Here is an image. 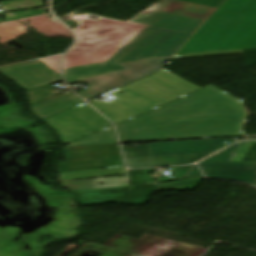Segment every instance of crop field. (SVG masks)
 I'll return each instance as SVG.
<instances>
[{
	"instance_id": "5",
	"label": "crop field",
	"mask_w": 256,
	"mask_h": 256,
	"mask_svg": "<svg viewBox=\"0 0 256 256\" xmlns=\"http://www.w3.org/2000/svg\"><path fill=\"white\" fill-rule=\"evenodd\" d=\"M139 25L98 20H84L74 33L78 40L65 57L63 67L99 61L114 51Z\"/></svg>"
},
{
	"instance_id": "23",
	"label": "crop field",
	"mask_w": 256,
	"mask_h": 256,
	"mask_svg": "<svg viewBox=\"0 0 256 256\" xmlns=\"http://www.w3.org/2000/svg\"><path fill=\"white\" fill-rule=\"evenodd\" d=\"M194 167H171L173 178L160 177L159 182L186 179Z\"/></svg>"
},
{
	"instance_id": "17",
	"label": "crop field",
	"mask_w": 256,
	"mask_h": 256,
	"mask_svg": "<svg viewBox=\"0 0 256 256\" xmlns=\"http://www.w3.org/2000/svg\"><path fill=\"white\" fill-rule=\"evenodd\" d=\"M117 143L112 126L65 147Z\"/></svg>"
},
{
	"instance_id": "20",
	"label": "crop field",
	"mask_w": 256,
	"mask_h": 256,
	"mask_svg": "<svg viewBox=\"0 0 256 256\" xmlns=\"http://www.w3.org/2000/svg\"><path fill=\"white\" fill-rule=\"evenodd\" d=\"M202 179L198 180H190V181H182V182H174V183H163L159 184L155 191L159 190H167V189H196Z\"/></svg>"
},
{
	"instance_id": "29",
	"label": "crop field",
	"mask_w": 256,
	"mask_h": 256,
	"mask_svg": "<svg viewBox=\"0 0 256 256\" xmlns=\"http://www.w3.org/2000/svg\"><path fill=\"white\" fill-rule=\"evenodd\" d=\"M0 23H2L1 20H0Z\"/></svg>"
},
{
	"instance_id": "12",
	"label": "crop field",
	"mask_w": 256,
	"mask_h": 256,
	"mask_svg": "<svg viewBox=\"0 0 256 256\" xmlns=\"http://www.w3.org/2000/svg\"><path fill=\"white\" fill-rule=\"evenodd\" d=\"M0 73L26 91L62 81L59 73L51 70L43 61L0 68Z\"/></svg>"
},
{
	"instance_id": "14",
	"label": "crop field",
	"mask_w": 256,
	"mask_h": 256,
	"mask_svg": "<svg viewBox=\"0 0 256 256\" xmlns=\"http://www.w3.org/2000/svg\"><path fill=\"white\" fill-rule=\"evenodd\" d=\"M82 103L84 102L75 95L71 93H64L63 95L39 102L31 105L30 107L32 113L39 119L43 120Z\"/></svg>"
},
{
	"instance_id": "1",
	"label": "crop field",
	"mask_w": 256,
	"mask_h": 256,
	"mask_svg": "<svg viewBox=\"0 0 256 256\" xmlns=\"http://www.w3.org/2000/svg\"><path fill=\"white\" fill-rule=\"evenodd\" d=\"M248 113L234 97L207 86L117 124L122 143L241 137Z\"/></svg>"
},
{
	"instance_id": "16",
	"label": "crop field",
	"mask_w": 256,
	"mask_h": 256,
	"mask_svg": "<svg viewBox=\"0 0 256 256\" xmlns=\"http://www.w3.org/2000/svg\"><path fill=\"white\" fill-rule=\"evenodd\" d=\"M126 174L123 167L112 168L106 170H90V171H81L73 173H64L59 174L60 181L71 180V179H86V178H97V177H106L113 175Z\"/></svg>"
},
{
	"instance_id": "25",
	"label": "crop field",
	"mask_w": 256,
	"mask_h": 256,
	"mask_svg": "<svg viewBox=\"0 0 256 256\" xmlns=\"http://www.w3.org/2000/svg\"><path fill=\"white\" fill-rule=\"evenodd\" d=\"M176 1H181V2H185V3H190V4H195V5H199V6L216 9L218 4L222 0H176Z\"/></svg>"
},
{
	"instance_id": "9",
	"label": "crop field",
	"mask_w": 256,
	"mask_h": 256,
	"mask_svg": "<svg viewBox=\"0 0 256 256\" xmlns=\"http://www.w3.org/2000/svg\"><path fill=\"white\" fill-rule=\"evenodd\" d=\"M167 59L168 58H161L124 64L123 66L126 70L116 72V74L113 76L106 77L107 75H105L102 77L83 81L88 83L90 88L84 92L78 93V95L86 101L95 98L129 82H132L142 76L156 72Z\"/></svg>"
},
{
	"instance_id": "18",
	"label": "crop field",
	"mask_w": 256,
	"mask_h": 256,
	"mask_svg": "<svg viewBox=\"0 0 256 256\" xmlns=\"http://www.w3.org/2000/svg\"><path fill=\"white\" fill-rule=\"evenodd\" d=\"M129 168L179 165L175 155L126 160Z\"/></svg>"
},
{
	"instance_id": "2",
	"label": "crop field",
	"mask_w": 256,
	"mask_h": 256,
	"mask_svg": "<svg viewBox=\"0 0 256 256\" xmlns=\"http://www.w3.org/2000/svg\"><path fill=\"white\" fill-rule=\"evenodd\" d=\"M251 48H256V0H226L174 54Z\"/></svg>"
},
{
	"instance_id": "21",
	"label": "crop field",
	"mask_w": 256,
	"mask_h": 256,
	"mask_svg": "<svg viewBox=\"0 0 256 256\" xmlns=\"http://www.w3.org/2000/svg\"><path fill=\"white\" fill-rule=\"evenodd\" d=\"M123 146L126 159L150 157L148 145H141L137 148H125Z\"/></svg>"
},
{
	"instance_id": "24",
	"label": "crop field",
	"mask_w": 256,
	"mask_h": 256,
	"mask_svg": "<svg viewBox=\"0 0 256 256\" xmlns=\"http://www.w3.org/2000/svg\"><path fill=\"white\" fill-rule=\"evenodd\" d=\"M42 14H45V9L36 10V11H27V12L5 14L4 19H5L6 22H8V21H13V20L33 17V16H37V15H42Z\"/></svg>"
},
{
	"instance_id": "10",
	"label": "crop field",
	"mask_w": 256,
	"mask_h": 256,
	"mask_svg": "<svg viewBox=\"0 0 256 256\" xmlns=\"http://www.w3.org/2000/svg\"><path fill=\"white\" fill-rule=\"evenodd\" d=\"M228 141V144H224ZM235 142L228 139H206L149 143L152 156L176 154L179 164L197 162Z\"/></svg>"
},
{
	"instance_id": "11",
	"label": "crop field",
	"mask_w": 256,
	"mask_h": 256,
	"mask_svg": "<svg viewBox=\"0 0 256 256\" xmlns=\"http://www.w3.org/2000/svg\"><path fill=\"white\" fill-rule=\"evenodd\" d=\"M157 185L108 188L73 192L82 205L122 203L145 204Z\"/></svg>"
},
{
	"instance_id": "7",
	"label": "crop field",
	"mask_w": 256,
	"mask_h": 256,
	"mask_svg": "<svg viewBox=\"0 0 256 256\" xmlns=\"http://www.w3.org/2000/svg\"><path fill=\"white\" fill-rule=\"evenodd\" d=\"M235 144L199 163L207 178L246 182L256 185V161L238 162Z\"/></svg>"
},
{
	"instance_id": "8",
	"label": "crop field",
	"mask_w": 256,
	"mask_h": 256,
	"mask_svg": "<svg viewBox=\"0 0 256 256\" xmlns=\"http://www.w3.org/2000/svg\"><path fill=\"white\" fill-rule=\"evenodd\" d=\"M62 150L67 162L60 164V173L123 166L117 145Z\"/></svg>"
},
{
	"instance_id": "22",
	"label": "crop field",
	"mask_w": 256,
	"mask_h": 256,
	"mask_svg": "<svg viewBox=\"0 0 256 256\" xmlns=\"http://www.w3.org/2000/svg\"><path fill=\"white\" fill-rule=\"evenodd\" d=\"M151 171H155V170L150 169V170L128 171L132 181V185L153 182V179H151L147 174V172H151Z\"/></svg>"
},
{
	"instance_id": "6",
	"label": "crop field",
	"mask_w": 256,
	"mask_h": 256,
	"mask_svg": "<svg viewBox=\"0 0 256 256\" xmlns=\"http://www.w3.org/2000/svg\"><path fill=\"white\" fill-rule=\"evenodd\" d=\"M43 122L57 131L63 145L111 126L87 104L64 111Z\"/></svg>"
},
{
	"instance_id": "26",
	"label": "crop field",
	"mask_w": 256,
	"mask_h": 256,
	"mask_svg": "<svg viewBox=\"0 0 256 256\" xmlns=\"http://www.w3.org/2000/svg\"><path fill=\"white\" fill-rule=\"evenodd\" d=\"M254 143H256V142H243V143H240L239 147L236 150L239 161H241V159L245 156V153L251 148V146Z\"/></svg>"
},
{
	"instance_id": "13",
	"label": "crop field",
	"mask_w": 256,
	"mask_h": 256,
	"mask_svg": "<svg viewBox=\"0 0 256 256\" xmlns=\"http://www.w3.org/2000/svg\"><path fill=\"white\" fill-rule=\"evenodd\" d=\"M171 0H163L147 15L139 14L130 22L145 24L175 32L193 34L204 20L162 12Z\"/></svg>"
},
{
	"instance_id": "19",
	"label": "crop field",
	"mask_w": 256,
	"mask_h": 256,
	"mask_svg": "<svg viewBox=\"0 0 256 256\" xmlns=\"http://www.w3.org/2000/svg\"><path fill=\"white\" fill-rule=\"evenodd\" d=\"M44 7L42 0H17L0 3V8L4 12L41 8Z\"/></svg>"
},
{
	"instance_id": "3",
	"label": "crop field",
	"mask_w": 256,
	"mask_h": 256,
	"mask_svg": "<svg viewBox=\"0 0 256 256\" xmlns=\"http://www.w3.org/2000/svg\"><path fill=\"white\" fill-rule=\"evenodd\" d=\"M189 36L142 25L105 60L63 68V73L70 84L124 70L121 63L171 56Z\"/></svg>"
},
{
	"instance_id": "27",
	"label": "crop field",
	"mask_w": 256,
	"mask_h": 256,
	"mask_svg": "<svg viewBox=\"0 0 256 256\" xmlns=\"http://www.w3.org/2000/svg\"><path fill=\"white\" fill-rule=\"evenodd\" d=\"M60 57H55V58H51V59H47V60H43L51 69L59 72V66H58V62L60 60Z\"/></svg>"
},
{
	"instance_id": "4",
	"label": "crop field",
	"mask_w": 256,
	"mask_h": 256,
	"mask_svg": "<svg viewBox=\"0 0 256 256\" xmlns=\"http://www.w3.org/2000/svg\"><path fill=\"white\" fill-rule=\"evenodd\" d=\"M198 89L161 68L152 76L106 94L116 100L110 103L95 100L90 104L117 124Z\"/></svg>"
},
{
	"instance_id": "15",
	"label": "crop field",
	"mask_w": 256,
	"mask_h": 256,
	"mask_svg": "<svg viewBox=\"0 0 256 256\" xmlns=\"http://www.w3.org/2000/svg\"><path fill=\"white\" fill-rule=\"evenodd\" d=\"M163 11L206 20L214 10L173 1L170 5L165 7Z\"/></svg>"
},
{
	"instance_id": "28",
	"label": "crop field",
	"mask_w": 256,
	"mask_h": 256,
	"mask_svg": "<svg viewBox=\"0 0 256 256\" xmlns=\"http://www.w3.org/2000/svg\"><path fill=\"white\" fill-rule=\"evenodd\" d=\"M199 177H202L198 167L196 166L195 169L191 172V174L188 176L187 179H190V178H199Z\"/></svg>"
}]
</instances>
